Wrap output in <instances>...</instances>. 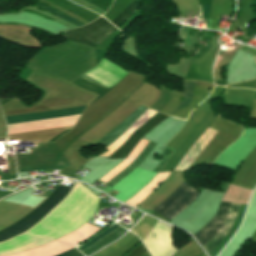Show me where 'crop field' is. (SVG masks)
Masks as SVG:
<instances>
[{"mask_svg":"<svg viewBox=\"0 0 256 256\" xmlns=\"http://www.w3.org/2000/svg\"><path fill=\"white\" fill-rule=\"evenodd\" d=\"M70 190V187L59 184L51 195L31 213L12 226L0 231V241L8 240L35 225L49 211H51L68 194Z\"/></svg>","mask_w":256,"mask_h":256,"instance_id":"1","label":"crop field"},{"mask_svg":"<svg viewBox=\"0 0 256 256\" xmlns=\"http://www.w3.org/2000/svg\"><path fill=\"white\" fill-rule=\"evenodd\" d=\"M114 29L116 28L112 24L103 17H99L87 26L64 32L61 35L70 40L95 48L97 43L104 39L106 35Z\"/></svg>","mask_w":256,"mask_h":256,"instance_id":"2","label":"crop field"},{"mask_svg":"<svg viewBox=\"0 0 256 256\" xmlns=\"http://www.w3.org/2000/svg\"><path fill=\"white\" fill-rule=\"evenodd\" d=\"M169 116L157 113L152 118H150L147 122H145L141 127L135 130L129 139L112 155H110L107 159H120L127 158L128 155L132 152V150L137 146V144L141 141V139L148 134L151 130H153L157 125H159L164 119Z\"/></svg>","mask_w":256,"mask_h":256,"instance_id":"3","label":"crop field"},{"mask_svg":"<svg viewBox=\"0 0 256 256\" xmlns=\"http://www.w3.org/2000/svg\"><path fill=\"white\" fill-rule=\"evenodd\" d=\"M198 192L191 189L187 184L170 198L157 212L171 220L178 212L188 207L196 198Z\"/></svg>","mask_w":256,"mask_h":256,"instance_id":"4","label":"crop field"},{"mask_svg":"<svg viewBox=\"0 0 256 256\" xmlns=\"http://www.w3.org/2000/svg\"><path fill=\"white\" fill-rule=\"evenodd\" d=\"M85 107L86 106L64 109V110H57V111L8 116L5 118H6L7 124L11 125V124L48 120V119H55V118H62V117H70V116L80 115L82 111L85 109Z\"/></svg>","mask_w":256,"mask_h":256,"instance_id":"5","label":"crop field"},{"mask_svg":"<svg viewBox=\"0 0 256 256\" xmlns=\"http://www.w3.org/2000/svg\"><path fill=\"white\" fill-rule=\"evenodd\" d=\"M232 203L221 202L217 215L199 232L194 234L205 248L225 223Z\"/></svg>","mask_w":256,"mask_h":256,"instance_id":"6","label":"crop field"},{"mask_svg":"<svg viewBox=\"0 0 256 256\" xmlns=\"http://www.w3.org/2000/svg\"><path fill=\"white\" fill-rule=\"evenodd\" d=\"M156 144L157 142L150 139L149 142L146 144V146L142 149V151L138 154V156L135 158V160L131 164H129L127 167H125L123 170H121L119 173H117L115 176H113L104 184L108 185L109 187H112L114 184H116L120 179H122L137 165H139L143 161V159L148 155V153L154 148Z\"/></svg>","mask_w":256,"mask_h":256,"instance_id":"7","label":"crop field"},{"mask_svg":"<svg viewBox=\"0 0 256 256\" xmlns=\"http://www.w3.org/2000/svg\"><path fill=\"white\" fill-rule=\"evenodd\" d=\"M151 88L153 87L146 83H143L135 93H133L123 104H121L117 109H115L111 114H109L101 122H104L106 124L111 122L114 118H116L120 113H122L125 109H127L130 105H132L135 101H137L140 97H142Z\"/></svg>","mask_w":256,"mask_h":256,"instance_id":"8","label":"crop field"},{"mask_svg":"<svg viewBox=\"0 0 256 256\" xmlns=\"http://www.w3.org/2000/svg\"><path fill=\"white\" fill-rule=\"evenodd\" d=\"M140 1H132L129 6L113 21L117 27H120L125 21H127L132 13L138 9Z\"/></svg>","mask_w":256,"mask_h":256,"instance_id":"9","label":"crop field"},{"mask_svg":"<svg viewBox=\"0 0 256 256\" xmlns=\"http://www.w3.org/2000/svg\"><path fill=\"white\" fill-rule=\"evenodd\" d=\"M37 6L43 8V9H45V10H47V11L53 13V14H55L57 17L65 20V21H67V22H69V23H71V24H73V25H75L77 27H80V26L84 25V24H82V23H80V22H78L76 20H73V19H71V18H69V17H67V16H65V15H63V14H61V13H59V12L49 8V7H47V6H45V5H42V4L38 3V2H37Z\"/></svg>","mask_w":256,"mask_h":256,"instance_id":"10","label":"crop field"},{"mask_svg":"<svg viewBox=\"0 0 256 256\" xmlns=\"http://www.w3.org/2000/svg\"><path fill=\"white\" fill-rule=\"evenodd\" d=\"M126 256H150V253L147 251V249L144 247V245L141 242Z\"/></svg>","mask_w":256,"mask_h":256,"instance_id":"11","label":"crop field"},{"mask_svg":"<svg viewBox=\"0 0 256 256\" xmlns=\"http://www.w3.org/2000/svg\"><path fill=\"white\" fill-rule=\"evenodd\" d=\"M118 225H113L112 227H110L109 229H107L105 232H103L102 234H100L99 236L95 237L94 239H92L91 241H89L86 245L78 248L80 251L83 250L84 248H86L87 246H89L90 244H92L93 242H95L96 240H98L99 238H101L102 236H104L105 234H107L108 232H110L111 230H113L114 228H116Z\"/></svg>","mask_w":256,"mask_h":256,"instance_id":"12","label":"crop field"},{"mask_svg":"<svg viewBox=\"0 0 256 256\" xmlns=\"http://www.w3.org/2000/svg\"><path fill=\"white\" fill-rule=\"evenodd\" d=\"M57 256H84L80 252H78L75 248L68 250L66 252H63Z\"/></svg>","mask_w":256,"mask_h":256,"instance_id":"13","label":"crop field"},{"mask_svg":"<svg viewBox=\"0 0 256 256\" xmlns=\"http://www.w3.org/2000/svg\"><path fill=\"white\" fill-rule=\"evenodd\" d=\"M202 18L208 19V13H202Z\"/></svg>","mask_w":256,"mask_h":256,"instance_id":"14","label":"crop field"}]
</instances>
